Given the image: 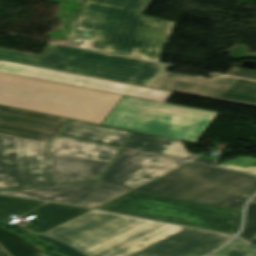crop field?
Wrapping results in <instances>:
<instances>
[{
	"mask_svg": "<svg viewBox=\"0 0 256 256\" xmlns=\"http://www.w3.org/2000/svg\"><path fill=\"white\" fill-rule=\"evenodd\" d=\"M154 88L256 106V82L233 77L163 72Z\"/></svg>",
	"mask_w": 256,
	"mask_h": 256,
	"instance_id": "crop-field-10",
	"label": "crop field"
},
{
	"mask_svg": "<svg viewBox=\"0 0 256 256\" xmlns=\"http://www.w3.org/2000/svg\"><path fill=\"white\" fill-rule=\"evenodd\" d=\"M239 236L250 242L256 238V197L248 205L245 228Z\"/></svg>",
	"mask_w": 256,
	"mask_h": 256,
	"instance_id": "crop-field-20",
	"label": "crop field"
},
{
	"mask_svg": "<svg viewBox=\"0 0 256 256\" xmlns=\"http://www.w3.org/2000/svg\"><path fill=\"white\" fill-rule=\"evenodd\" d=\"M129 132L114 127L73 120L60 135L121 147Z\"/></svg>",
	"mask_w": 256,
	"mask_h": 256,
	"instance_id": "crop-field-15",
	"label": "crop field"
},
{
	"mask_svg": "<svg viewBox=\"0 0 256 256\" xmlns=\"http://www.w3.org/2000/svg\"><path fill=\"white\" fill-rule=\"evenodd\" d=\"M121 95L0 73V104L101 124Z\"/></svg>",
	"mask_w": 256,
	"mask_h": 256,
	"instance_id": "crop-field-3",
	"label": "crop field"
},
{
	"mask_svg": "<svg viewBox=\"0 0 256 256\" xmlns=\"http://www.w3.org/2000/svg\"><path fill=\"white\" fill-rule=\"evenodd\" d=\"M86 211H88V209L48 203L25 214L24 216L29 217L33 214L37 215L30 220L37 223L38 225L28 230L36 233H42Z\"/></svg>",
	"mask_w": 256,
	"mask_h": 256,
	"instance_id": "crop-field-17",
	"label": "crop field"
},
{
	"mask_svg": "<svg viewBox=\"0 0 256 256\" xmlns=\"http://www.w3.org/2000/svg\"><path fill=\"white\" fill-rule=\"evenodd\" d=\"M0 72L162 102H165L171 94L170 91L150 89L134 84L107 81L79 74L1 60Z\"/></svg>",
	"mask_w": 256,
	"mask_h": 256,
	"instance_id": "crop-field-11",
	"label": "crop field"
},
{
	"mask_svg": "<svg viewBox=\"0 0 256 256\" xmlns=\"http://www.w3.org/2000/svg\"><path fill=\"white\" fill-rule=\"evenodd\" d=\"M211 256H256L236 239Z\"/></svg>",
	"mask_w": 256,
	"mask_h": 256,
	"instance_id": "crop-field-22",
	"label": "crop field"
},
{
	"mask_svg": "<svg viewBox=\"0 0 256 256\" xmlns=\"http://www.w3.org/2000/svg\"><path fill=\"white\" fill-rule=\"evenodd\" d=\"M51 184L47 145L0 135V189Z\"/></svg>",
	"mask_w": 256,
	"mask_h": 256,
	"instance_id": "crop-field-8",
	"label": "crop field"
},
{
	"mask_svg": "<svg viewBox=\"0 0 256 256\" xmlns=\"http://www.w3.org/2000/svg\"><path fill=\"white\" fill-rule=\"evenodd\" d=\"M221 167H228L232 169L242 170L244 172L252 173L256 171V159L251 157L239 156L221 165Z\"/></svg>",
	"mask_w": 256,
	"mask_h": 256,
	"instance_id": "crop-field-21",
	"label": "crop field"
},
{
	"mask_svg": "<svg viewBox=\"0 0 256 256\" xmlns=\"http://www.w3.org/2000/svg\"><path fill=\"white\" fill-rule=\"evenodd\" d=\"M134 191L242 210L256 193V177L190 163Z\"/></svg>",
	"mask_w": 256,
	"mask_h": 256,
	"instance_id": "crop-field-4",
	"label": "crop field"
},
{
	"mask_svg": "<svg viewBox=\"0 0 256 256\" xmlns=\"http://www.w3.org/2000/svg\"><path fill=\"white\" fill-rule=\"evenodd\" d=\"M173 158L134 151L119 153L113 165L98 182L133 190L181 166Z\"/></svg>",
	"mask_w": 256,
	"mask_h": 256,
	"instance_id": "crop-field-12",
	"label": "crop field"
},
{
	"mask_svg": "<svg viewBox=\"0 0 256 256\" xmlns=\"http://www.w3.org/2000/svg\"><path fill=\"white\" fill-rule=\"evenodd\" d=\"M253 175H256V172L252 173Z\"/></svg>",
	"mask_w": 256,
	"mask_h": 256,
	"instance_id": "crop-field-29",
	"label": "crop field"
},
{
	"mask_svg": "<svg viewBox=\"0 0 256 256\" xmlns=\"http://www.w3.org/2000/svg\"><path fill=\"white\" fill-rule=\"evenodd\" d=\"M0 59L150 88L165 67L164 64L82 49L73 53L47 48L42 56L0 49Z\"/></svg>",
	"mask_w": 256,
	"mask_h": 256,
	"instance_id": "crop-field-5",
	"label": "crop field"
},
{
	"mask_svg": "<svg viewBox=\"0 0 256 256\" xmlns=\"http://www.w3.org/2000/svg\"><path fill=\"white\" fill-rule=\"evenodd\" d=\"M50 48H56V49H62V50H67V51H73L76 52L78 49L77 48H71V47H66V46H60L56 44H51L49 46Z\"/></svg>",
	"mask_w": 256,
	"mask_h": 256,
	"instance_id": "crop-field-25",
	"label": "crop field"
},
{
	"mask_svg": "<svg viewBox=\"0 0 256 256\" xmlns=\"http://www.w3.org/2000/svg\"><path fill=\"white\" fill-rule=\"evenodd\" d=\"M237 240H239L241 243H243L245 246H247L250 250H252L254 253H256V246L251 245L247 242H245L244 240L240 239L239 237L236 238Z\"/></svg>",
	"mask_w": 256,
	"mask_h": 256,
	"instance_id": "crop-field-26",
	"label": "crop field"
},
{
	"mask_svg": "<svg viewBox=\"0 0 256 256\" xmlns=\"http://www.w3.org/2000/svg\"><path fill=\"white\" fill-rule=\"evenodd\" d=\"M69 118L0 105V134L50 143Z\"/></svg>",
	"mask_w": 256,
	"mask_h": 256,
	"instance_id": "crop-field-14",
	"label": "crop field"
},
{
	"mask_svg": "<svg viewBox=\"0 0 256 256\" xmlns=\"http://www.w3.org/2000/svg\"><path fill=\"white\" fill-rule=\"evenodd\" d=\"M44 235L88 256H203L232 237L96 210Z\"/></svg>",
	"mask_w": 256,
	"mask_h": 256,
	"instance_id": "crop-field-1",
	"label": "crop field"
},
{
	"mask_svg": "<svg viewBox=\"0 0 256 256\" xmlns=\"http://www.w3.org/2000/svg\"><path fill=\"white\" fill-rule=\"evenodd\" d=\"M45 202L0 195V221L6 223L10 215H20Z\"/></svg>",
	"mask_w": 256,
	"mask_h": 256,
	"instance_id": "crop-field-19",
	"label": "crop field"
},
{
	"mask_svg": "<svg viewBox=\"0 0 256 256\" xmlns=\"http://www.w3.org/2000/svg\"><path fill=\"white\" fill-rule=\"evenodd\" d=\"M153 0H88L76 30L93 32L86 48L158 61L173 22L141 15Z\"/></svg>",
	"mask_w": 256,
	"mask_h": 256,
	"instance_id": "crop-field-2",
	"label": "crop field"
},
{
	"mask_svg": "<svg viewBox=\"0 0 256 256\" xmlns=\"http://www.w3.org/2000/svg\"><path fill=\"white\" fill-rule=\"evenodd\" d=\"M128 191L97 182H87L63 186L0 191V193L97 208Z\"/></svg>",
	"mask_w": 256,
	"mask_h": 256,
	"instance_id": "crop-field-13",
	"label": "crop field"
},
{
	"mask_svg": "<svg viewBox=\"0 0 256 256\" xmlns=\"http://www.w3.org/2000/svg\"><path fill=\"white\" fill-rule=\"evenodd\" d=\"M48 147L56 184L96 180L119 150L62 136Z\"/></svg>",
	"mask_w": 256,
	"mask_h": 256,
	"instance_id": "crop-field-9",
	"label": "crop field"
},
{
	"mask_svg": "<svg viewBox=\"0 0 256 256\" xmlns=\"http://www.w3.org/2000/svg\"><path fill=\"white\" fill-rule=\"evenodd\" d=\"M198 162H204V163H210V164H214L215 160L214 159H210V158H205V157H202L198 160H196Z\"/></svg>",
	"mask_w": 256,
	"mask_h": 256,
	"instance_id": "crop-field-27",
	"label": "crop field"
},
{
	"mask_svg": "<svg viewBox=\"0 0 256 256\" xmlns=\"http://www.w3.org/2000/svg\"><path fill=\"white\" fill-rule=\"evenodd\" d=\"M0 256H8V255L0 248Z\"/></svg>",
	"mask_w": 256,
	"mask_h": 256,
	"instance_id": "crop-field-28",
	"label": "crop field"
},
{
	"mask_svg": "<svg viewBox=\"0 0 256 256\" xmlns=\"http://www.w3.org/2000/svg\"><path fill=\"white\" fill-rule=\"evenodd\" d=\"M98 209L231 234L237 233L241 219V211L212 207L134 191Z\"/></svg>",
	"mask_w": 256,
	"mask_h": 256,
	"instance_id": "crop-field-7",
	"label": "crop field"
},
{
	"mask_svg": "<svg viewBox=\"0 0 256 256\" xmlns=\"http://www.w3.org/2000/svg\"><path fill=\"white\" fill-rule=\"evenodd\" d=\"M125 148L142 150L179 159L191 157L180 140L133 131Z\"/></svg>",
	"mask_w": 256,
	"mask_h": 256,
	"instance_id": "crop-field-16",
	"label": "crop field"
},
{
	"mask_svg": "<svg viewBox=\"0 0 256 256\" xmlns=\"http://www.w3.org/2000/svg\"><path fill=\"white\" fill-rule=\"evenodd\" d=\"M228 74L256 80V70L234 67Z\"/></svg>",
	"mask_w": 256,
	"mask_h": 256,
	"instance_id": "crop-field-24",
	"label": "crop field"
},
{
	"mask_svg": "<svg viewBox=\"0 0 256 256\" xmlns=\"http://www.w3.org/2000/svg\"><path fill=\"white\" fill-rule=\"evenodd\" d=\"M0 245L12 256H46L42 246L30 244L22 237L0 227Z\"/></svg>",
	"mask_w": 256,
	"mask_h": 256,
	"instance_id": "crop-field-18",
	"label": "crop field"
},
{
	"mask_svg": "<svg viewBox=\"0 0 256 256\" xmlns=\"http://www.w3.org/2000/svg\"><path fill=\"white\" fill-rule=\"evenodd\" d=\"M38 239L44 240L46 242H50L52 243L55 247H57L58 249L55 251L58 254H63L66 256H84L83 254L79 253L78 251H76L75 249L60 243L56 240L50 239V238H46L43 237L41 235L37 236Z\"/></svg>",
	"mask_w": 256,
	"mask_h": 256,
	"instance_id": "crop-field-23",
	"label": "crop field"
},
{
	"mask_svg": "<svg viewBox=\"0 0 256 256\" xmlns=\"http://www.w3.org/2000/svg\"><path fill=\"white\" fill-rule=\"evenodd\" d=\"M216 115L123 96L103 124L194 142Z\"/></svg>",
	"mask_w": 256,
	"mask_h": 256,
	"instance_id": "crop-field-6",
	"label": "crop field"
}]
</instances>
